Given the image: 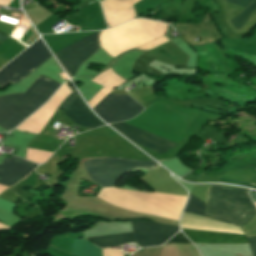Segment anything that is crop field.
<instances>
[{
    "mask_svg": "<svg viewBox=\"0 0 256 256\" xmlns=\"http://www.w3.org/2000/svg\"><path fill=\"white\" fill-rule=\"evenodd\" d=\"M256 213L248 190L210 185L206 194V217L242 227ZM256 256V237L247 238Z\"/></svg>",
    "mask_w": 256,
    "mask_h": 256,
    "instance_id": "obj_1",
    "label": "crop field"
},
{
    "mask_svg": "<svg viewBox=\"0 0 256 256\" xmlns=\"http://www.w3.org/2000/svg\"><path fill=\"white\" fill-rule=\"evenodd\" d=\"M59 87L40 76L24 93L0 98V127L10 131L39 108Z\"/></svg>",
    "mask_w": 256,
    "mask_h": 256,
    "instance_id": "obj_2",
    "label": "crop field"
},
{
    "mask_svg": "<svg viewBox=\"0 0 256 256\" xmlns=\"http://www.w3.org/2000/svg\"><path fill=\"white\" fill-rule=\"evenodd\" d=\"M136 242L141 247L160 245L178 232L175 226L157 224L147 221H130ZM132 231L88 237L86 239L99 245L101 248L113 245H123L127 242H135ZM135 242V243H136Z\"/></svg>",
    "mask_w": 256,
    "mask_h": 256,
    "instance_id": "obj_3",
    "label": "crop field"
},
{
    "mask_svg": "<svg viewBox=\"0 0 256 256\" xmlns=\"http://www.w3.org/2000/svg\"><path fill=\"white\" fill-rule=\"evenodd\" d=\"M157 165L154 161H137L121 158H104L84 162L85 169L90 177L101 187L114 186L115 180L133 168L153 169Z\"/></svg>",
    "mask_w": 256,
    "mask_h": 256,
    "instance_id": "obj_4",
    "label": "crop field"
},
{
    "mask_svg": "<svg viewBox=\"0 0 256 256\" xmlns=\"http://www.w3.org/2000/svg\"><path fill=\"white\" fill-rule=\"evenodd\" d=\"M50 56L41 39H38L0 71V87L8 82L17 83Z\"/></svg>",
    "mask_w": 256,
    "mask_h": 256,
    "instance_id": "obj_5",
    "label": "crop field"
},
{
    "mask_svg": "<svg viewBox=\"0 0 256 256\" xmlns=\"http://www.w3.org/2000/svg\"><path fill=\"white\" fill-rule=\"evenodd\" d=\"M93 110L107 123H112L131 119L143 108L129 96L108 94Z\"/></svg>",
    "mask_w": 256,
    "mask_h": 256,
    "instance_id": "obj_6",
    "label": "crop field"
},
{
    "mask_svg": "<svg viewBox=\"0 0 256 256\" xmlns=\"http://www.w3.org/2000/svg\"><path fill=\"white\" fill-rule=\"evenodd\" d=\"M98 34L86 39L83 38L84 40L54 54L70 78H72L79 65L97 50L99 46Z\"/></svg>",
    "mask_w": 256,
    "mask_h": 256,
    "instance_id": "obj_7",
    "label": "crop field"
},
{
    "mask_svg": "<svg viewBox=\"0 0 256 256\" xmlns=\"http://www.w3.org/2000/svg\"><path fill=\"white\" fill-rule=\"evenodd\" d=\"M111 126L133 142L160 154L176 144L123 122L111 124Z\"/></svg>",
    "mask_w": 256,
    "mask_h": 256,
    "instance_id": "obj_8",
    "label": "crop field"
},
{
    "mask_svg": "<svg viewBox=\"0 0 256 256\" xmlns=\"http://www.w3.org/2000/svg\"><path fill=\"white\" fill-rule=\"evenodd\" d=\"M36 166L14 156L11 159L6 157L0 166V184L12 186L22 180Z\"/></svg>",
    "mask_w": 256,
    "mask_h": 256,
    "instance_id": "obj_9",
    "label": "crop field"
},
{
    "mask_svg": "<svg viewBox=\"0 0 256 256\" xmlns=\"http://www.w3.org/2000/svg\"><path fill=\"white\" fill-rule=\"evenodd\" d=\"M182 228L243 234L237 226L184 213Z\"/></svg>",
    "mask_w": 256,
    "mask_h": 256,
    "instance_id": "obj_10",
    "label": "crop field"
},
{
    "mask_svg": "<svg viewBox=\"0 0 256 256\" xmlns=\"http://www.w3.org/2000/svg\"><path fill=\"white\" fill-rule=\"evenodd\" d=\"M182 230L193 243H248L244 235Z\"/></svg>",
    "mask_w": 256,
    "mask_h": 256,
    "instance_id": "obj_11",
    "label": "crop field"
},
{
    "mask_svg": "<svg viewBox=\"0 0 256 256\" xmlns=\"http://www.w3.org/2000/svg\"><path fill=\"white\" fill-rule=\"evenodd\" d=\"M64 114L72 122L88 129L103 125L102 122L92 115L79 97L69 106L68 110Z\"/></svg>",
    "mask_w": 256,
    "mask_h": 256,
    "instance_id": "obj_12",
    "label": "crop field"
},
{
    "mask_svg": "<svg viewBox=\"0 0 256 256\" xmlns=\"http://www.w3.org/2000/svg\"><path fill=\"white\" fill-rule=\"evenodd\" d=\"M72 254L77 256H102L100 248L81 239L74 240L72 245Z\"/></svg>",
    "mask_w": 256,
    "mask_h": 256,
    "instance_id": "obj_13",
    "label": "crop field"
},
{
    "mask_svg": "<svg viewBox=\"0 0 256 256\" xmlns=\"http://www.w3.org/2000/svg\"><path fill=\"white\" fill-rule=\"evenodd\" d=\"M185 212L204 216L205 217V204L197 200L195 197L190 195V198L188 200V203L184 209Z\"/></svg>",
    "mask_w": 256,
    "mask_h": 256,
    "instance_id": "obj_14",
    "label": "crop field"
},
{
    "mask_svg": "<svg viewBox=\"0 0 256 256\" xmlns=\"http://www.w3.org/2000/svg\"><path fill=\"white\" fill-rule=\"evenodd\" d=\"M256 10V0L242 13H240L236 18H234L231 23L238 31L241 26L246 22L250 15Z\"/></svg>",
    "mask_w": 256,
    "mask_h": 256,
    "instance_id": "obj_15",
    "label": "crop field"
},
{
    "mask_svg": "<svg viewBox=\"0 0 256 256\" xmlns=\"http://www.w3.org/2000/svg\"><path fill=\"white\" fill-rule=\"evenodd\" d=\"M76 90L72 92L59 106V108L66 110V108L78 97Z\"/></svg>",
    "mask_w": 256,
    "mask_h": 256,
    "instance_id": "obj_16",
    "label": "crop field"
},
{
    "mask_svg": "<svg viewBox=\"0 0 256 256\" xmlns=\"http://www.w3.org/2000/svg\"><path fill=\"white\" fill-rule=\"evenodd\" d=\"M172 243H190V242L184 237V235L181 232H179L166 244H172Z\"/></svg>",
    "mask_w": 256,
    "mask_h": 256,
    "instance_id": "obj_17",
    "label": "crop field"
},
{
    "mask_svg": "<svg viewBox=\"0 0 256 256\" xmlns=\"http://www.w3.org/2000/svg\"><path fill=\"white\" fill-rule=\"evenodd\" d=\"M225 1L246 8L253 0H225Z\"/></svg>",
    "mask_w": 256,
    "mask_h": 256,
    "instance_id": "obj_18",
    "label": "crop field"
},
{
    "mask_svg": "<svg viewBox=\"0 0 256 256\" xmlns=\"http://www.w3.org/2000/svg\"><path fill=\"white\" fill-rule=\"evenodd\" d=\"M220 182L228 183V184L244 185V186L256 188V187H255L256 185H255V186H250V185H253V184L247 185V183L236 182V181L227 180V179H221ZM248 184H249V183H248Z\"/></svg>",
    "mask_w": 256,
    "mask_h": 256,
    "instance_id": "obj_19",
    "label": "crop field"
},
{
    "mask_svg": "<svg viewBox=\"0 0 256 256\" xmlns=\"http://www.w3.org/2000/svg\"><path fill=\"white\" fill-rule=\"evenodd\" d=\"M250 194H251L253 201L256 202V191L251 190Z\"/></svg>",
    "mask_w": 256,
    "mask_h": 256,
    "instance_id": "obj_20",
    "label": "crop field"
},
{
    "mask_svg": "<svg viewBox=\"0 0 256 256\" xmlns=\"http://www.w3.org/2000/svg\"><path fill=\"white\" fill-rule=\"evenodd\" d=\"M7 38H5L4 36H2L1 34H0V41H4V40H6Z\"/></svg>",
    "mask_w": 256,
    "mask_h": 256,
    "instance_id": "obj_21",
    "label": "crop field"
}]
</instances>
